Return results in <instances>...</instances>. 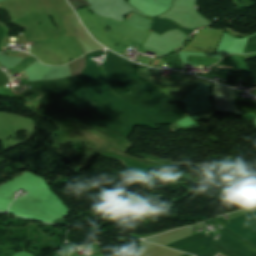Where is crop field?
Returning <instances> with one entry per match:
<instances>
[{"label":"crop field","instance_id":"ac0d7876","mask_svg":"<svg viewBox=\"0 0 256 256\" xmlns=\"http://www.w3.org/2000/svg\"><path fill=\"white\" fill-rule=\"evenodd\" d=\"M231 67H239V66H231Z\"/></svg>","mask_w":256,"mask_h":256},{"label":"crop field","instance_id":"8a807250","mask_svg":"<svg viewBox=\"0 0 256 256\" xmlns=\"http://www.w3.org/2000/svg\"><path fill=\"white\" fill-rule=\"evenodd\" d=\"M130 15H131V13L128 15L127 19L129 18Z\"/></svg>","mask_w":256,"mask_h":256},{"label":"crop field","instance_id":"34b2d1b8","mask_svg":"<svg viewBox=\"0 0 256 256\" xmlns=\"http://www.w3.org/2000/svg\"><path fill=\"white\" fill-rule=\"evenodd\" d=\"M158 60L156 61L155 65L157 64Z\"/></svg>","mask_w":256,"mask_h":256}]
</instances>
